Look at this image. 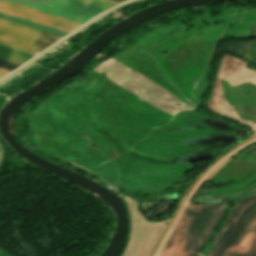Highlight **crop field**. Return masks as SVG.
Instances as JSON below:
<instances>
[{"label": "crop field", "instance_id": "1", "mask_svg": "<svg viewBox=\"0 0 256 256\" xmlns=\"http://www.w3.org/2000/svg\"><path fill=\"white\" fill-rule=\"evenodd\" d=\"M60 38L0 18L1 45L35 55Z\"/></svg>", "mask_w": 256, "mask_h": 256}, {"label": "crop field", "instance_id": "2", "mask_svg": "<svg viewBox=\"0 0 256 256\" xmlns=\"http://www.w3.org/2000/svg\"><path fill=\"white\" fill-rule=\"evenodd\" d=\"M78 22H85L106 8L79 0H8ZM93 18V17H92Z\"/></svg>", "mask_w": 256, "mask_h": 256}, {"label": "crop field", "instance_id": "3", "mask_svg": "<svg viewBox=\"0 0 256 256\" xmlns=\"http://www.w3.org/2000/svg\"><path fill=\"white\" fill-rule=\"evenodd\" d=\"M0 12L20 17L23 19H27L67 32L71 31L72 29L76 28L81 24L41 11H37L31 8H27L21 5H17L11 2H7L4 0H0Z\"/></svg>", "mask_w": 256, "mask_h": 256}, {"label": "crop field", "instance_id": "4", "mask_svg": "<svg viewBox=\"0 0 256 256\" xmlns=\"http://www.w3.org/2000/svg\"><path fill=\"white\" fill-rule=\"evenodd\" d=\"M33 55L23 53L11 48H7L0 45V58L6 59L16 63H23L24 61L31 58Z\"/></svg>", "mask_w": 256, "mask_h": 256}, {"label": "crop field", "instance_id": "5", "mask_svg": "<svg viewBox=\"0 0 256 256\" xmlns=\"http://www.w3.org/2000/svg\"><path fill=\"white\" fill-rule=\"evenodd\" d=\"M0 17L8 19V20L15 21V22H18V23H21V24H25V25H28V26H31V27H35V28H38V29H41V30H44V31H48V32H51V33H54V34H58V35H61V36L65 35L67 33V32H63V31H60V30H57V29H53V28L43 26V25H40V24H37V23H33V22H30V21H27V20H23V19L16 18V17L10 16V15H6V14H3V13H0Z\"/></svg>", "mask_w": 256, "mask_h": 256}, {"label": "crop field", "instance_id": "6", "mask_svg": "<svg viewBox=\"0 0 256 256\" xmlns=\"http://www.w3.org/2000/svg\"><path fill=\"white\" fill-rule=\"evenodd\" d=\"M83 1L93 3V4H96V5H99V6H103V7H106V8H109V7L116 4V3L109 2V1H106V0H83Z\"/></svg>", "mask_w": 256, "mask_h": 256}, {"label": "crop field", "instance_id": "7", "mask_svg": "<svg viewBox=\"0 0 256 256\" xmlns=\"http://www.w3.org/2000/svg\"><path fill=\"white\" fill-rule=\"evenodd\" d=\"M18 65H19V64L12 63V62L5 61V60L0 59V67H3V68L12 70V69H14L15 67H17Z\"/></svg>", "mask_w": 256, "mask_h": 256}, {"label": "crop field", "instance_id": "8", "mask_svg": "<svg viewBox=\"0 0 256 256\" xmlns=\"http://www.w3.org/2000/svg\"><path fill=\"white\" fill-rule=\"evenodd\" d=\"M8 72H9L8 70L0 68V77L3 76L4 74L8 73Z\"/></svg>", "mask_w": 256, "mask_h": 256}]
</instances>
